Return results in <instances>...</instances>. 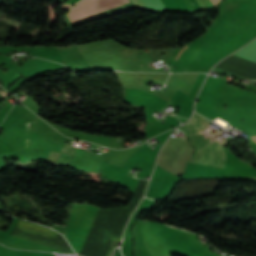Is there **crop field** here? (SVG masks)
<instances>
[{
	"mask_svg": "<svg viewBox=\"0 0 256 256\" xmlns=\"http://www.w3.org/2000/svg\"><path fill=\"white\" fill-rule=\"evenodd\" d=\"M99 207L87 204H73L68 227L64 237L78 253Z\"/></svg>",
	"mask_w": 256,
	"mask_h": 256,
	"instance_id": "1",
	"label": "crop field"
},
{
	"mask_svg": "<svg viewBox=\"0 0 256 256\" xmlns=\"http://www.w3.org/2000/svg\"><path fill=\"white\" fill-rule=\"evenodd\" d=\"M129 2V0H82L70 10L68 16L71 22L78 21L108 8Z\"/></svg>",
	"mask_w": 256,
	"mask_h": 256,
	"instance_id": "2",
	"label": "crop field"
},
{
	"mask_svg": "<svg viewBox=\"0 0 256 256\" xmlns=\"http://www.w3.org/2000/svg\"><path fill=\"white\" fill-rule=\"evenodd\" d=\"M168 11L190 12L183 0H162Z\"/></svg>",
	"mask_w": 256,
	"mask_h": 256,
	"instance_id": "3",
	"label": "crop field"
},
{
	"mask_svg": "<svg viewBox=\"0 0 256 256\" xmlns=\"http://www.w3.org/2000/svg\"><path fill=\"white\" fill-rule=\"evenodd\" d=\"M133 4H137V5H144V3L141 0H130Z\"/></svg>",
	"mask_w": 256,
	"mask_h": 256,
	"instance_id": "4",
	"label": "crop field"
},
{
	"mask_svg": "<svg viewBox=\"0 0 256 256\" xmlns=\"http://www.w3.org/2000/svg\"><path fill=\"white\" fill-rule=\"evenodd\" d=\"M212 3H213V5L215 6V4L217 3V1L218 0H210Z\"/></svg>",
	"mask_w": 256,
	"mask_h": 256,
	"instance_id": "5",
	"label": "crop field"
},
{
	"mask_svg": "<svg viewBox=\"0 0 256 256\" xmlns=\"http://www.w3.org/2000/svg\"><path fill=\"white\" fill-rule=\"evenodd\" d=\"M252 141L256 142V136L250 137Z\"/></svg>",
	"mask_w": 256,
	"mask_h": 256,
	"instance_id": "6",
	"label": "crop field"
},
{
	"mask_svg": "<svg viewBox=\"0 0 256 256\" xmlns=\"http://www.w3.org/2000/svg\"><path fill=\"white\" fill-rule=\"evenodd\" d=\"M71 5H63L62 7H64V8H69Z\"/></svg>",
	"mask_w": 256,
	"mask_h": 256,
	"instance_id": "7",
	"label": "crop field"
},
{
	"mask_svg": "<svg viewBox=\"0 0 256 256\" xmlns=\"http://www.w3.org/2000/svg\"><path fill=\"white\" fill-rule=\"evenodd\" d=\"M112 255V251H111V254H110V256Z\"/></svg>",
	"mask_w": 256,
	"mask_h": 256,
	"instance_id": "8",
	"label": "crop field"
},
{
	"mask_svg": "<svg viewBox=\"0 0 256 256\" xmlns=\"http://www.w3.org/2000/svg\"><path fill=\"white\" fill-rule=\"evenodd\" d=\"M187 48V46L184 48V49H186ZM182 54V53H181Z\"/></svg>",
	"mask_w": 256,
	"mask_h": 256,
	"instance_id": "9",
	"label": "crop field"
}]
</instances>
